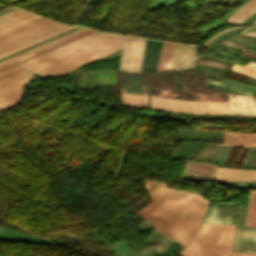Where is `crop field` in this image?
Returning a JSON list of instances; mask_svg holds the SVG:
<instances>
[{
    "mask_svg": "<svg viewBox=\"0 0 256 256\" xmlns=\"http://www.w3.org/2000/svg\"><path fill=\"white\" fill-rule=\"evenodd\" d=\"M215 146H216V144H206V146L202 150L201 154L199 155L198 159L207 160L208 156L210 155L211 151L213 150V148ZM224 147L225 146L217 145L208 160L218 162Z\"/></svg>",
    "mask_w": 256,
    "mask_h": 256,
    "instance_id": "crop-field-18",
    "label": "crop field"
},
{
    "mask_svg": "<svg viewBox=\"0 0 256 256\" xmlns=\"http://www.w3.org/2000/svg\"><path fill=\"white\" fill-rule=\"evenodd\" d=\"M240 57H244V58H248V59H250V60H252V61H255L256 62V59H252V58H249V57H245V56H241V55H239Z\"/></svg>",
    "mask_w": 256,
    "mask_h": 256,
    "instance_id": "crop-field-48",
    "label": "crop field"
},
{
    "mask_svg": "<svg viewBox=\"0 0 256 256\" xmlns=\"http://www.w3.org/2000/svg\"><path fill=\"white\" fill-rule=\"evenodd\" d=\"M248 0H246L245 2H243V3H246Z\"/></svg>",
    "mask_w": 256,
    "mask_h": 256,
    "instance_id": "crop-field-50",
    "label": "crop field"
},
{
    "mask_svg": "<svg viewBox=\"0 0 256 256\" xmlns=\"http://www.w3.org/2000/svg\"><path fill=\"white\" fill-rule=\"evenodd\" d=\"M234 251L256 253V229L237 226Z\"/></svg>",
    "mask_w": 256,
    "mask_h": 256,
    "instance_id": "crop-field-7",
    "label": "crop field"
},
{
    "mask_svg": "<svg viewBox=\"0 0 256 256\" xmlns=\"http://www.w3.org/2000/svg\"><path fill=\"white\" fill-rule=\"evenodd\" d=\"M94 31H95V30H93V31H91V32H89V33H86V34H84V35H81V36H79V37H76V38H74V39L83 37V36H85V35H87V34H90V33L94 32ZM74 39H71V40H74ZM71 40H69V41H71ZM69 41H67V42H69ZM67 42H64V43H62V44H59V45H57V46H54V47H52V48H49V49H47V50H44V51L39 52V53H37V54H34V55H32V56H29V57H27V58H25V59H22V60H20V61H17V62H15V63H12V64L7 65V66H5V67H2V68H0V70H2V69H4V68H7V67H10V66H12V65H15V64H17V63H20V62H22V61L28 60V59H30V58H33V57H35V56H38V55H40V54H42V53H45V52H47V51H49V50H51V49H54V48H56V47H58V46H61V45L65 44V43H67Z\"/></svg>",
    "mask_w": 256,
    "mask_h": 256,
    "instance_id": "crop-field-29",
    "label": "crop field"
},
{
    "mask_svg": "<svg viewBox=\"0 0 256 256\" xmlns=\"http://www.w3.org/2000/svg\"><path fill=\"white\" fill-rule=\"evenodd\" d=\"M252 30H256V26L249 27V28L245 29V30L242 31V32H245V31H252Z\"/></svg>",
    "mask_w": 256,
    "mask_h": 256,
    "instance_id": "crop-field-44",
    "label": "crop field"
},
{
    "mask_svg": "<svg viewBox=\"0 0 256 256\" xmlns=\"http://www.w3.org/2000/svg\"><path fill=\"white\" fill-rule=\"evenodd\" d=\"M40 18H42V17L34 15V14H32L30 16H27V17H25L23 19H20L18 21H15L13 23H10V24H8L6 26L1 27L0 28V34H3L5 32H8L10 30H13V29H15L17 27H20L22 25H25L27 23H30V22L35 21V20L40 19Z\"/></svg>",
    "mask_w": 256,
    "mask_h": 256,
    "instance_id": "crop-field-20",
    "label": "crop field"
},
{
    "mask_svg": "<svg viewBox=\"0 0 256 256\" xmlns=\"http://www.w3.org/2000/svg\"><path fill=\"white\" fill-rule=\"evenodd\" d=\"M197 63L200 64H207V65H213V66H217L219 68H223L225 69L226 65L222 64V63H218V62H213V61H207V60H198Z\"/></svg>",
    "mask_w": 256,
    "mask_h": 256,
    "instance_id": "crop-field-35",
    "label": "crop field"
},
{
    "mask_svg": "<svg viewBox=\"0 0 256 256\" xmlns=\"http://www.w3.org/2000/svg\"><path fill=\"white\" fill-rule=\"evenodd\" d=\"M256 12V0H250L235 13H233L226 21L232 24H238L245 21L249 16Z\"/></svg>",
    "mask_w": 256,
    "mask_h": 256,
    "instance_id": "crop-field-15",
    "label": "crop field"
},
{
    "mask_svg": "<svg viewBox=\"0 0 256 256\" xmlns=\"http://www.w3.org/2000/svg\"><path fill=\"white\" fill-rule=\"evenodd\" d=\"M206 82H207L208 86H212V87H215V88H218V89H222V90H226V91H230V92H234V93H238V94H244V95H255L256 94L255 92H252V91L235 88V87H232V86H228V85L218 83V82H214V81L207 80V79H206Z\"/></svg>",
    "mask_w": 256,
    "mask_h": 256,
    "instance_id": "crop-field-22",
    "label": "crop field"
},
{
    "mask_svg": "<svg viewBox=\"0 0 256 256\" xmlns=\"http://www.w3.org/2000/svg\"><path fill=\"white\" fill-rule=\"evenodd\" d=\"M62 25H64V24L58 23V24L53 25V26H51V27H49V28H46V29L41 30V31H39V32H36V33H34V34H32V35H29V36H27V37H24V38H22V39H19V40L15 41V42H12V43H10V44H7V45H5V46H2V47H0V51H1V50H4V49H6V48H9V47H11V46H13V45H16V44H18V43H21V42H23V41H26V40H28V39H30V38H33V37H35V36H38V35H40V34H43V33L47 32V31L52 30V29H55V28H57V27H59V26H62Z\"/></svg>",
    "mask_w": 256,
    "mask_h": 256,
    "instance_id": "crop-field-26",
    "label": "crop field"
},
{
    "mask_svg": "<svg viewBox=\"0 0 256 256\" xmlns=\"http://www.w3.org/2000/svg\"><path fill=\"white\" fill-rule=\"evenodd\" d=\"M68 27H70V26H69V25H64V26H62V27H59V28H57V29H55V30H52V31H50V32H47V33H45V34H43V35H40V36L35 37V38H33V39H30V40H28V41H26V42H23V43H21V44H18V45H16V46H13V47H11V48H9V49H6V50H4V51H1V52H0V55H1V54H4V53H6V52H9V51H11V50H14V49H16V48H19V47H21V46H24V45H26V44H28V43L33 42V41H36V40H38V39H41V38H43V37H46V36H48V35H51V34H53V33H56V32H58V31H60V30H63V29H65V28H68Z\"/></svg>",
    "mask_w": 256,
    "mask_h": 256,
    "instance_id": "crop-field-25",
    "label": "crop field"
},
{
    "mask_svg": "<svg viewBox=\"0 0 256 256\" xmlns=\"http://www.w3.org/2000/svg\"><path fill=\"white\" fill-rule=\"evenodd\" d=\"M145 39L125 36L118 70L140 71Z\"/></svg>",
    "mask_w": 256,
    "mask_h": 256,
    "instance_id": "crop-field-5",
    "label": "crop field"
},
{
    "mask_svg": "<svg viewBox=\"0 0 256 256\" xmlns=\"http://www.w3.org/2000/svg\"><path fill=\"white\" fill-rule=\"evenodd\" d=\"M56 23H57V22L50 21V22H48V23H45V24H43V25H40V26H38V27H35V28H33V29H30V30H28V31H25V32H23V33H20V34H18V35H15V36H13V37H10V38H8V39H5V40H3V41H0V46L5 45V44H7V43H10V42H12V41H15V40H17V39H19V38H22V37H24V36H27V35H29V34H32V33L36 32V31H39V30H41V29H44V28L49 27V26H51V25H53V24H56Z\"/></svg>",
    "mask_w": 256,
    "mask_h": 256,
    "instance_id": "crop-field-23",
    "label": "crop field"
},
{
    "mask_svg": "<svg viewBox=\"0 0 256 256\" xmlns=\"http://www.w3.org/2000/svg\"><path fill=\"white\" fill-rule=\"evenodd\" d=\"M250 150H251V148H249V152H248V154H247V156H246V158H245V161H244V165H243V167H246L247 160H248V157H249V155H250ZM253 151H254V148H252V151H251V155H250V157H249V161H248L247 168H249V165H250V161H251V158H252Z\"/></svg>",
    "mask_w": 256,
    "mask_h": 256,
    "instance_id": "crop-field-38",
    "label": "crop field"
},
{
    "mask_svg": "<svg viewBox=\"0 0 256 256\" xmlns=\"http://www.w3.org/2000/svg\"><path fill=\"white\" fill-rule=\"evenodd\" d=\"M207 54H209V55H211V56H214V57H217V58H219V59H224V58H222V57H218V56H215V55H212V54H210V53H208V52H206ZM206 54V55H207ZM224 61H226V62H231V63H238V64H242V65H244V63H240V62H236V61H232V60H230V59H227V58H225L224 59Z\"/></svg>",
    "mask_w": 256,
    "mask_h": 256,
    "instance_id": "crop-field-42",
    "label": "crop field"
},
{
    "mask_svg": "<svg viewBox=\"0 0 256 256\" xmlns=\"http://www.w3.org/2000/svg\"><path fill=\"white\" fill-rule=\"evenodd\" d=\"M87 30H89V29H87V28H82V29H80V30H78V31H75V32L70 33V34H68V35H65V36H63V37L60 36L61 38H58V39L55 38L56 40H53V41H51V42H48V43H46V44H43V45L38 46V47H36V48H33V49L29 50V51H26V52H24V53H21V54H19V55H16V56L11 57V58H9V59H6V60H4V61H1V62H0V66L3 65V64H6V63H8V62H11V61H13V60H16V59H18V58H21V57H23V56H25V55H28V54H30V53H33V52H35V51H38V50H40V49H43V48H45V47H48V46H50V45H53V44H55V43H58V42H60V41H63V40H65V39H67V38H70V37H72V36H75V35H77V34H80V33L84 32V31H87Z\"/></svg>",
    "mask_w": 256,
    "mask_h": 256,
    "instance_id": "crop-field-16",
    "label": "crop field"
},
{
    "mask_svg": "<svg viewBox=\"0 0 256 256\" xmlns=\"http://www.w3.org/2000/svg\"><path fill=\"white\" fill-rule=\"evenodd\" d=\"M233 205L234 203H218L211 205L207 210L204 221L230 224Z\"/></svg>",
    "mask_w": 256,
    "mask_h": 256,
    "instance_id": "crop-field-9",
    "label": "crop field"
},
{
    "mask_svg": "<svg viewBox=\"0 0 256 256\" xmlns=\"http://www.w3.org/2000/svg\"><path fill=\"white\" fill-rule=\"evenodd\" d=\"M248 65H252V66H255L256 67V63L255 62H249Z\"/></svg>",
    "mask_w": 256,
    "mask_h": 256,
    "instance_id": "crop-field-47",
    "label": "crop field"
},
{
    "mask_svg": "<svg viewBox=\"0 0 256 256\" xmlns=\"http://www.w3.org/2000/svg\"><path fill=\"white\" fill-rule=\"evenodd\" d=\"M179 1L180 0H153L149 9L155 10L159 6L170 7V6L178 3Z\"/></svg>",
    "mask_w": 256,
    "mask_h": 256,
    "instance_id": "crop-field-28",
    "label": "crop field"
},
{
    "mask_svg": "<svg viewBox=\"0 0 256 256\" xmlns=\"http://www.w3.org/2000/svg\"><path fill=\"white\" fill-rule=\"evenodd\" d=\"M253 23H256V20Z\"/></svg>",
    "mask_w": 256,
    "mask_h": 256,
    "instance_id": "crop-field-52",
    "label": "crop field"
},
{
    "mask_svg": "<svg viewBox=\"0 0 256 256\" xmlns=\"http://www.w3.org/2000/svg\"><path fill=\"white\" fill-rule=\"evenodd\" d=\"M157 230H154L148 237H147V239L144 241V242H147L150 238H151V236L156 232ZM159 232L157 231L154 235H153V237L148 241V243L158 234ZM159 235H160V233L150 242V244H152L158 237H159Z\"/></svg>",
    "mask_w": 256,
    "mask_h": 256,
    "instance_id": "crop-field-37",
    "label": "crop field"
},
{
    "mask_svg": "<svg viewBox=\"0 0 256 256\" xmlns=\"http://www.w3.org/2000/svg\"><path fill=\"white\" fill-rule=\"evenodd\" d=\"M121 39V35L95 32L20 65L43 77Z\"/></svg>",
    "mask_w": 256,
    "mask_h": 256,
    "instance_id": "crop-field-2",
    "label": "crop field"
},
{
    "mask_svg": "<svg viewBox=\"0 0 256 256\" xmlns=\"http://www.w3.org/2000/svg\"><path fill=\"white\" fill-rule=\"evenodd\" d=\"M216 180L250 181L256 180V171L248 169H227L217 167Z\"/></svg>",
    "mask_w": 256,
    "mask_h": 256,
    "instance_id": "crop-field-10",
    "label": "crop field"
},
{
    "mask_svg": "<svg viewBox=\"0 0 256 256\" xmlns=\"http://www.w3.org/2000/svg\"><path fill=\"white\" fill-rule=\"evenodd\" d=\"M234 36L256 44V41H253V40L248 39V38H246V37L240 36V35H238V34H235ZM234 36H232V37H234ZM236 37H234V38H236ZM238 38H237V39H238ZM241 39H239V40H241ZM244 40H242V41H244ZM246 41H244V42H246ZM249 42H247V43H249ZM252 43H249V44H252ZM254 44H252V45H254ZM254 46H256V45H254Z\"/></svg>",
    "mask_w": 256,
    "mask_h": 256,
    "instance_id": "crop-field-40",
    "label": "crop field"
},
{
    "mask_svg": "<svg viewBox=\"0 0 256 256\" xmlns=\"http://www.w3.org/2000/svg\"><path fill=\"white\" fill-rule=\"evenodd\" d=\"M211 50L216 51V52L221 53V54L229 55V56H232V57H235V55H236V54H234V53L225 51V50L220 49V48H217V47H215V46L211 47ZM236 58H237V57H236ZM239 59H241V58H239ZM243 60H245V59H243ZM246 61H248V60H246Z\"/></svg>",
    "mask_w": 256,
    "mask_h": 256,
    "instance_id": "crop-field-36",
    "label": "crop field"
},
{
    "mask_svg": "<svg viewBox=\"0 0 256 256\" xmlns=\"http://www.w3.org/2000/svg\"><path fill=\"white\" fill-rule=\"evenodd\" d=\"M73 28H75V26L70 27V28H68V29H65V30H63V31H60V32H58V33H56V34H53V35L48 36V37H46V38H43V39H41V40H38V41H36V42H33V43H31V44H28V45H26V46H24V47H21V48H19V49H16V50L11 51V52H9V53H6V54H4V55H1L0 58H1V57H4V56H6V55H9V54H11V53H14V52H16V51H18V50H21V49H23V48H26V47H28V46H31V45H33V44H36V43H38V42H41V41H43V40H46V39H48V38H51V37H53V36H56V35H58V34H60V33H63V32H65V31H68V30L73 29Z\"/></svg>",
    "mask_w": 256,
    "mask_h": 256,
    "instance_id": "crop-field-32",
    "label": "crop field"
},
{
    "mask_svg": "<svg viewBox=\"0 0 256 256\" xmlns=\"http://www.w3.org/2000/svg\"><path fill=\"white\" fill-rule=\"evenodd\" d=\"M244 1V0H243Z\"/></svg>",
    "mask_w": 256,
    "mask_h": 256,
    "instance_id": "crop-field-54",
    "label": "crop field"
},
{
    "mask_svg": "<svg viewBox=\"0 0 256 256\" xmlns=\"http://www.w3.org/2000/svg\"><path fill=\"white\" fill-rule=\"evenodd\" d=\"M196 68L197 69H203V70H210V71L216 72V73L221 74V75L224 72V70L217 69V68L212 67V66H206V65H196Z\"/></svg>",
    "mask_w": 256,
    "mask_h": 256,
    "instance_id": "crop-field-34",
    "label": "crop field"
},
{
    "mask_svg": "<svg viewBox=\"0 0 256 256\" xmlns=\"http://www.w3.org/2000/svg\"><path fill=\"white\" fill-rule=\"evenodd\" d=\"M205 143L197 141H181L179 148L171 158H190L194 159ZM170 158V159H171Z\"/></svg>",
    "mask_w": 256,
    "mask_h": 256,
    "instance_id": "crop-field-14",
    "label": "crop field"
},
{
    "mask_svg": "<svg viewBox=\"0 0 256 256\" xmlns=\"http://www.w3.org/2000/svg\"><path fill=\"white\" fill-rule=\"evenodd\" d=\"M179 254L182 256H197L195 255L191 250L185 248L183 251H181Z\"/></svg>",
    "mask_w": 256,
    "mask_h": 256,
    "instance_id": "crop-field-39",
    "label": "crop field"
},
{
    "mask_svg": "<svg viewBox=\"0 0 256 256\" xmlns=\"http://www.w3.org/2000/svg\"><path fill=\"white\" fill-rule=\"evenodd\" d=\"M246 226L256 227V191H250Z\"/></svg>",
    "mask_w": 256,
    "mask_h": 256,
    "instance_id": "crop-field-19",
    "label": "crop field"
},
{
    "mask_svg": "<svg viewBox=\"0 0 256 256\" xmlns=\"http://www.w3.org/2000/svg\"><path fill=\"white\" fill-rule=\"evenodd\" d=\"M35 80L34 76L24 70L0 81V113L20 104L24 84Z\"/></svg>",
    "mask_w": 256,
    "mask_h": 256,
    "instance_id": "crop-field-4",
    "label": "crop field"
},
{
    "mask_svg": "<svg viewBox=\"0 0 256 256\" xmlns=\"http://www.w3.org/2000/svg\"><path fill=\"white\" fill-rule=\"evenodd\" d=\"M173 242H174V241H172V240H170V239L167 238V239L154 251V253H156V254H158L159 256H161Z\"/></svg>",
    "mask_w": 256,
    "mask_h": 256,
    "instance_id": "crop-field-31",
    "label": "crop field"
},
{
    "mask_svg": "<svg viewBox=\"0 0 256 256\" xmlns=\"http://www.w3.org/2000/svg\"><path fill=\"white\" fill-rule=\"evenodd\" d=\"M122 105L147 109V96L121 93Z\"/></svg>",
    "mask_w": 256,
    "mask_h": 256,
    "instance_id": "crop-field-17",
    "label": "crop field"
},
{
    "mask_svg": "<svg viewBox=\"0 0 256 256\" xmlns=\"http://www.w3.org/2000/svg\"><path fill=\"white\" fill-rule=\"evenodd\" d=\"M230 93V92H229ZM230 93L233 114H255L256 106L252 96H240Z\"/></svg>",
    "mask_w": 256,
    "mask_h": 256,
    "instance_id": "crop-field-11",
    "label": "crop field"
},
{
    "mask_svg": "<svg viewBox=\"0 0 256 256\" xmlns=\"http://www.w3.org/2000/svg\"><path fill=\"white\" fill-rule=\"evenodd\" d=\"M254 97V96H253ZM254 100H255V97H254ZM255 103H256V100H255Z\"/></svg>",
    "mask_w": 256,
    "mask_h": 256,
    "instance_id": "crop-field-51",
    "label": "crop field"
},
{
    "mask_svg": "<svg viewBox=\"0 0 256 256\" xmlns=\"http://www.w3.org/2000/svg\"><path fill=\"white\" fill-rule=\"evenodd\" d=\"M106 84L116 82L115 72L104 71Z\"/></svg>",
    "mask_w": 256,
    "mask_h": 256,
    "instance_id": "crop-field-33",
    "label": "crop field"
},
{
    "mask_svg": "<svg viewBox=\"0 0 256 256\" xmlns=\"http://www.w3.org/2000/svg\"><path fill=\"white\" fill-rule=\"evenodd\" d=\"M197 47L176 43L173 71L193 69Z\"/></svg>",
    "mask_w": 256,
    "mask_h": 256,
    "instance_id": "crop-field-6",
    "label": "crop field"
},
{
    "mask_svg": "<svg viewBox=\"0 0 256 256\" xmlns=\"http://www.w3.org/2000/svg\"><path fill=\"white\" fill-rule=\"evenodd\" d=\"M175 43L161 41L155 71L171 69Z\"/></svg>",
    "mask_w": 256,
    "mask_h": 256,
    "instance_id": "crop-field-12",
    "label": "crop field"
},
{
    "mask_svg": "<svg viewBox=\"0 0 256 256\" xmlns=\"http://www.w3.org/2000/svg\"><path fill=\"white\" fill-rule=\"evenodd\" d=\"M61 43V42H60ZM56 45V44H55ZM51 47V46H50ZM39 52V51H38ZM34 54V53H33Z\"/></svg>",
    "mask_w": 256,
    "mask_h": 256,
    "instance_id": "crop-field-53",
    "label": "crop field"
},
{
    "mask_svg": "<svg viewBox=\"0 0 256 256\" xmlns=\"http://www.w3.org/2000/svg\"><path fill=\"white\" fill-rule=\"evenodd\" d=\"M240 256H256V254L241 253Z\"/></svg>",
    "mask_w": 256,
    "mask_h": 256,
    "instance_id": "crop-field-46",
    "label": "crop field"
},
{
    "mask_svg": "<svg viewBox=\"0 0 256 256\" xmlns=\"http://www.w3.org/2000/svg\"><path fill=\"white\" fill-rule=\"evenodd\" d=\"M223 144L256 147V133H234L224 131Z\"/></svg>",
    "mask_w": 256,
    "mask_h": 256,
    "instance_id": "crop-field-13",
    "label": "crop field"
},
{
    "mask_svg": "<svg viewBox=\"0 0 256 256\" xmlns=\"http://www.w3.org/2000/svg\"><path fill=\"white\" fill-rule=\"evenodd\" d=\"M246 66H248V65H246ZM248 67H251V66H248ZM251 68L256 69L255 67H251ZM231 71H234V72H237V73H240V74H243V75H246V76L256 79V70H253V69H250L247 67H243L241 65H233V67L231 68Z\"/></svg>",
    "mask_w": 256,
    "mask_h": 256,
    "instance_id": "crop-field-27",
    "label": "crop field"
},
{
    "mask_svg": "<svg viewBox=\"0 0 256 256\" xmlns=\"http://www.w3.org/2000/svg\"><path fill=\"white\" fill-rule=\"evenodd\" d=\"M256 97V96H255Z\"/></svg>",
    "mask_w": 256,
    "mask_h": 256,
    "instance_id": "crop-field-55",
    "label": "crop field"
},
{
    "mask_svg": "<svg viewBox=\"0 0 256 256\" xmlns=\"http://www.w3.org/2000/svg\"><path fill=\"white\" fill-rule=\"evenodd\" d=\"M215 46L220 47V48H223V49H226V50H230V51H235V52H237L236 50H234V49H232V48H229V47H226V46H223V45H220V44H216Z\"/></svg>",
    "mask_w": 256,
    "mask_h": 256,
    "instance_id": "crop-field-43",
    "label": "crop field"
},
{
    "mask_svg": "<svg viewBox=\"0 0 256 256\" xmlns=\"http://www.w3.org/2000/svg\"><path fill=\"white\" fill-rule=\"evenodd\" d=\"M151 108L182 113L231 114L230 102L182 101L151 96Z\"/></svg>",
    "mask_w": 256,
    "mask_h": 256,
    "instance_id": "crop-field-3",
    "label": "crop field"
},
{
    "mask_svg": "<svg viewBox=\"0 0 256 256\" xmlns=\"http://www.w3.org/2000/svg\"><path fill=\"white\" fill-rule=\"evenodd\" d=\"M242 54H246V55H249V56H253V57H256V55H253V54H249V53H245V52H242Z\"/></svg>",
    "mask_w": 256,
    "mask_h": 256,
    "instance_id": "crop-field-49",
    "label": "crop field"
},
{
    "mask_svg": "<svg viewBox=\"0 0 256 256\" xmlns=\"http://www.w3.org/2000/svg\"><path fill=\"white\" fill-rule=\"evenodd\" d=\"M30 14H32V13L16 9L14 11H11L7 14L0 16V26H3L5 24H8L15 20H18V19L25 17L27 15H30Z\"/></svg>",
    "mask_w": 256,
    "mask_h": 256,
    "instance_id": "crop-field-21",
    "label": "crop field"
},
{
    "mask_svg": "<svg viewBox=\"0 0 256 256\" xmlns=\"http://www.w3.org/2000/svg\"><path fill=\"white\" fill-rule=\"evenodd\" d=\"M48 21H50V20L45 19V18H42V19L37 20V21H35V22H33V23H30V24H28V25H25V26H23V27H20V28L15 29V30H13V31H11V32H8V33H6V34L1 35V36H0V40H3V39H5V38H8V37H10V36H13V35H15V34H18V33H20V32H23V31H25V30H28V29H30V28H33V27H35V26H38V25L43 24V23L48 22Z\"/></svg>",
    "mask_w": 256,
    "mask_h": 256,
    "instance_id": "crop-field-24",
    "label": "crop field"
},
{
    "mask_svg": "<svg viewBox=\"0 0 256 256\" xmlns=\"http://www.w3.org/2000/svg\"><path fill=\"white\" fill-rule=\"evenodd\" d=\"M210 51V50H209ZM210 52H213V51H210ZM214 53V52H213ZM215 54H217V53H215ZM217 55H221V54H217ZM221 56H224V57H227V56H225V55H221ZM227 58H230V57H227ZM230 59H233V60H236V61H241V60H238V59H234V58H230ZM242 62H244V61H242ZM246 63V62H245Z\"/></svg>",
    "mask_w": 256,
    "mask_h": 256,
    "instance_id": "crop-field-45",
    "label": "crop field"
},
{
    "mask_svg": "<svg viewBox=\"0 0 256 256\" xmlns=\"http://www.w3.org/2000/svg\"><path fill=\"white\" fill-rule=\"evenodd\" d=\"M22 70H24V69L21 68L20 66L16 65V66H14V67H12V68H9V69H7V70H4V71L0 72V79H3V78H5V77H8V76H10V75H12V74H15V73H17V72H20V71H22Z\"/></svg>",
    "mask_w": 256,
    "mask_h": 256,
    "instance_id": "crop-field-30",
    "label": "crop field"
},
{
    "mask_svg": "<svg viewBox=\"0 0 256 256\" xmlns=\"http://www.w3.org/2000/svg\"><path fill=\"white\" fill-rule=\"evenodd\" d=\"M94 76H95V85L98 86L97 76H96V72L95 71H94ZM95 85H94L93 71H91V88H94Z\"/></svg>",
    "mask_w": 256,
    "mask_h": 256,
    "instance_id": "crop-field-41",
    "label": "crop field"
},
{
    "mask_svg": "<svg viewBox=\"0 0 256 256\" xmlns=\"http://www.w3.org/2000/svg\"><path fill=\"white\" fill-rule=\"evenodd\" d=\"M121 43H122V40L113 44V45H111V46H109V47H107V48H105V49H102V50H100V51H98V52H96V53H94V54H92V55H90L86 58H83V59H81V60H79V61H77V62H75V63H73L69 66H66V67H64V68H62V69H60V70H58V71H56V72H54L50 75L61 76L65 73H67V72H70V71L75 70L79 67H82V66L87 65L91 62H94V61L112 53L113 51L121 48Z\"/></svg>",
    "mask_w": 256,
    "mask_h": 256,
    "instance_id": "crop-field-8",
    "label": "crop field"
},
{
    "mask_svg": "<svg viewBox=\"0 0 256 256\" xmlns=\"http://www.w3.org/2000/svg\"><path fill=\"white\" fill-rule=\"evenodd\" d=\"M143 182L152 200L143 210L193 234L196 233L206 211L208 204L206 198L194 192L170 189L163 181L143 180ZM143 210L138 214L180 243L187 246L194 236Z\"/></svg>",
    "mask_w": 256,
    "mask_h": 256,
    "instance_id": "crop-field-1",
    "label": "crop field"
}]
</instances>
